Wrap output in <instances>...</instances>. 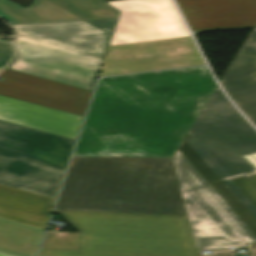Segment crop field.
I'll return each instance as SVG.
<instances>
[{
    "label": "crop field",
    "mask_w": 256,
    "mask_h": 256,
    "mask_svg": "<svg viewBox=\"0 0 256 256\" xmlns=\"http://www.w3.org/2000/svg\"><path fill=\"white\" fill-rule=\"evenodd\" d=\"M216 86L207 66L99 80L54 211L78 252L197 256L171 157Z\"/></svg>",
    "instance_id": "1"
},
{
    "label": "crop field",
    "mask_w": 256,
    "mask_h": 256,
    "mask_svg": "<svg viewBox=\"0 0 256 256\" xmlns=\"http://www.w3.org/2000/svg\"><path fill=\"white\" fill-rule=\"evenodd\" d=\"M249 125L217 86L177 149L256 236V207L230 179L256 171Z\"/></svg>",
    "instance_id": "2"
},
{
    "label": "crop field",
    "mask_w": 256,
    "mask_h": 256,
    "mask_svg": "<svg viewBox=\"0 0 256 256\" xmlns=\"http://www.w3.org/2000/svg\"><path fill=\"white\" fill-rule=\"evenodd\" d=\"M116 20L12 26L7 69L91 90Z\"/></svg>",
    "instance_id": "3"
},
{
    "label": "crop field",
    "mask_w": 256,
    "mask_h": 256,
    "mask_svg": "<svg viewBox=\"0 0 256 256\" xmlns=\"http://www.w3.org/2000/svg\"><path fill=\"white\" fill-rule=\"evenodd\" d=\"M73 142L0 121V184L55 199Z\"/></svg>",
    "instance_id": "4"
},
{
    "label": "crop field",
    "mask_w": 256,
    "mask_h": 256,
    "mask_svg": "<svg viewBox=\"0 0 256 256\" xmlns=\"http://www.w3.org/2000/svg\"><path fill=\"white\" fill-rule=\"evenodd\" d=\"M172 160L197 249L239 248L256 241L177 149Z\"/></svg>",
    "instance_id": "5"
},
{
    "label": "crop field",
    "mask_w": 256,
    "mask_h": 256,
    "mask_svg": "<svg viewBox=\"0 0 256 256\" xmlns=\"http://www.w3.org/2000/svg\"><path fill=\"white\" fill-rule=\"evenodd\" d=\"M53 201L0 185V253L35 256Z\"/></svg>",
    "instance_id": "6"
},
{
    "label": "crop field",
    "mask_w": 256,
    "mask_h": 256,
    "mask_svg": "<svg viewBox=\"0 0 256 256\" xmlns=\"http://www.w3.org/2000/svg\"><path fill=\"white\" fill-rule=\"evenodd\" d=\"M108 4L121 12L109 46L189 36L171 0Z\"/></svg>",
    "instance_id": "7"
},
{
    "label": "crop field",
    "mask_w": 256,
    "mask_h": 256,
    "mask_svg": "<svg viewBox=\"0 0 256 256\" xmlns=\"http://www.w3.org/2000/svg\"><path fill=\"white\" fill-rule=\"evenodd\" d=\"M205 64L190 37L109 47L98 77Z\"/></svg>",
    "instance_id": "8"
},
{
    "label": "crop field",
    "mask_w": 256,
    "mask_h": 256,
    "mask_svg": "<svg viewBox=\"0 0 256 256\" xmlns=\"http://www.w3.org/2000/svg\"><path fill=\"white\" fill-rule=\"evenodd\" d=\"M0 78L1 95L82 116L91 92L7 69Z\"/></svg>",
    "instance_id": "9"
},
{
    "label": "crop field",
    "mask_w": 256,
    "mask_h": 256,
    "mask_svg": "<svg viewBox=\"0 0 256 256\" xmlns=\"http://www.w3.org/2000/svg\"><path fill=\"white\" fill-rule=\"evenodd\" d=\"M118 14L102 0H34L27 9L0 0V17L12 24L108 19L117 18Z\"/></svg>",
    "instance_id": "10"
},
{
    "label": "crop field",
    "mask_w": 256,
    "mask_h": 256,
    "mask_svg": "<svg viewBox=\"0 0 256 256\" xmlns=\"http://www.w3.org/2000/svg\"><path fill=\"white\" fill-rule=\"evenodd\" d=\"M192 31L254 28L256 0H176Z\"/></svg>",
    "instance_id": "11"
},
{
    "label": "crop field",
    "mask_w": 256,
    "mask_h": 256,
    "mask_svg": "<svg viewBox=\"0 0 256 256\" xmlns=\"http://www.w3.org/2000/svg\"><path fill=\"white\" fill-rule=\"evenodd\" d=\"M82 116L0 95V120L76 139Z\"/></svg>",
    "instance_id": "12"
},
{
    "label": "crop field",
    "mask_w": 256,
    "mask_h": 256,
    "mask_svg": "<svg viewBox=\"0 0 256 256\" xmlns=\"http://www.w3.org/2000/svg\"><path fill=\"white\" fill-rule=\"evenodd\" d=\"M220 83L256 126V55L238 53Z\"/></svg>",
    "instance_id": "13"
},
{
    "label": "crop field",
    "mask_w": 256,
    "mask_h": 256,
    "mask_svg": "<svg viewBox=\"0 0 256 256\" xmlns=\"http://www.w3.org/2000/svg\"><path fill=\"white\" fill-rule=\"evenodd\" d=\"M77 233L47 232L42 248L76 250Z\"/></svg>",
    "instance_id": "14"
},
{
    "label": "crop field",
    "mask_w": 256,
    "mask_h": 256,
    "mask_svg": "<svg viewBox=\"0 0 256 256\" xmlns=\"http://www.w3.org/2000/svg\"><path fill=\"white\" fill-rule=\"evenodd\" d=\"M232 180L256 206V173Z\"/></svg>",
    "instance_id": "15"
},
{
    "label": "crop field",
    "mask_w": 256,
    "mask_h": 256,
    "mask_svg": "<svg viewBox=\"0 0 256 256\" xmlns=\"http://www.w3.org/2000/svg\"><path fill=\"white\" fill-rule=\"evenodd\" d=\"M40 256H142V255L91 254V253H77V251H68V250L42 249Z\"/></svg>",
    "instance_id": "16"
},
{
    "label": "crop field",
    "mask_w": 256,
    "mask_h": 256,
    "mask_svg": "<svg viewBox=\"0 0 256 256\" xmlns=\"http://www.w3.org/2000/svg\"><path fill=\"white\" fill-rule=\"evenodd\" d=\"M13 56L12 44L0 42V68H3Z\"/></svg>",
    "instance_id": "17"
},
{
    "label": "crop field",
    "mask_w": 256,
    "mask_h": 256,
    "mask_svg": "<svg viewBox=\"0 0 256 256\" xmlns=\"http://www.w3.org/2000/svg\"><path fill=\"white\" fill-rule=\"evenodd\" d=\"M240 52L256 54V30H253Z\"/></svg>",
    "instance_id": "18"
},
{
    "label": "crop field",
    "mask_w": 256,
    "mask_h": 256,
    "mask_svg": "<svg viewBox=\"0 0 256 256\" xmlns=\"http://www.w3.org/2000/svg\"><path fill=\"white\" fill-rule=\"evenodd\" d=\"M212 254L198 255V256H235L234 251H211Z\"/></svg>",
    "instance_id": "19"
},
{
    "label": "crop field",
    "mask_w": 256,
    "mask_h": 256,
    "mask_svg": "<svg viewBox=\"0 0 256 256\" xmlns=\"http://www.w3.org/2000/svg\"><path fill=\"white\" fill-rule=\"evenodd\" d=\"M250 256H256V242L247 244Z\"/></svg>",
    "instance_id": "20"
},
{
    "label": "crop field",
    "mask_w": 256,
    "mask_h": 256,
    "mask_svg": "<svg viewBox=\"0 0 256 256\" xmlns=\"http://www.w3.org/2000/svg\"><path fill=\"white\" fill-rule=\"evenodd\" d=\"M103 1H105V2H109V1H116V0H103Z\"/></svg>",
    "instance_id": "21"
},
{
    "label": "crop field",
    "mask_w": 256,
    "mask_h": 256,
    "mask_svg": "<svg viewBox=\"0 0 256 256\" xmlns=\"http://www.w3.org/2000/svg\"><path fill=\"white\" fill-rule=\"evenodd\" d=\"M0 256H5V255H1V254H0Z\"/></svg>",
    "instance_id": "22"
},
{
    "label": "crop field",
    "mask_w": 256,
    "mask_h": 256,
    "mask_svg": "<svg viewBox=\"0 0 256 256\" xmlns=\"http://www.w3.org/2000/svg\"><path fill=\"white\" fill-rule=\"evenodd\" d=\"M1 70V69H0Z\"/></svg>",
    "instance_id": "23"
}]
</instances>
